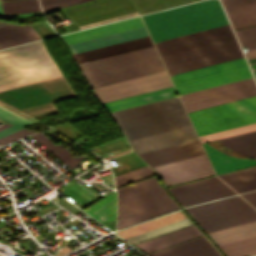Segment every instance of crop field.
Masks as SVG:
<instances>
[{
  "label": "crop field",
  "mask_w": 256,
  "mask_h": 256,
  "mask_svg": "<svg viewBox=\"0 0 256 256\" xmlns=\"http://www.w3.org/2000/svg\"><path fill=\"white\" fill-rule=\"evenodd\" d=\"M244 57L236 39H230L166 56L162 60L170 75ZM244 58L170 76L178 93L251 77Z\"/></svg>",
  "instance_id": "8a807250"
},
{
  "label": "crop field",
  "mask_w": 256,
  "mask_h": 256,
  "mask_svg": "<svg viewBox=\"0 0 256 256\" xmlns=\"http://www.w3.org/2000/svg\"><path fill=\"white\" fill-rule=\"evenodd\" d=\"M74 57L91 88L165 70L150 37Z\"/></svg>",
  "instance_id": "ac0d7876"
},
{
  "label": "crop field",
  "mask_w": 256,
  "mask_h": 256,
  "mask_svg": "<svg viewBox=\"0 0 256 256\" xmlns=\"http://www.w3.org/2000/svg\"><path fill=\"white\" fill-rule=\"evenodd\" d=\"M154 42L229 24L218 0L142 16Z\"/></svg>",
  "instance_id": "34b2d1b8"
},
{
  "label": "crop field",
  "mask_w": 256,
  "mask_h": 256,
  "mask_svg": "<svg viewBox=\"0 0 256 256\" xmlns=\"http://www.w3.org/2000/svg\"><path fill=\"white\" fill-rule=\"evenodd\" d=\"M111 114L128 140L191 125L177 97Z\"/></svg>",
  "instance_id": "412701ff"
},
{
  "label": "crop field",
  "mask_w": 256,
  "mask_h": 256,
  "mask_svg": "<svg viewBox=\"0 0 256 256\" xmlns=\"http://www.w3.org/2000/svg\"><path fill=\"white\" fill-rule=\"evenodd\" d=\"M60 75L42 41L0 51V90Z\"/></svg>",
  "instance_id": "f4fd0767"
},
{
  "label": "crop field",
  "mask_w": 256,
  "mask_h": 256,
  "mask_svg": "<svg viewBox=\"0 0 256 256\" xmlns=\"http://www.w3.org/2000/svg\"><path fill=\"white\" fill-rule=\"evenodd\" d=\"M118 191L117 229L174 211L180 207L168 196L156 177Z\"/></svg>",
  "instance_id": "dd49c442"
},
{
  "label": "crop field",
  "mask_w": 256,
  "mask_h": 256,
  "mask_svg": "<svg viewBox=\"0 0 256 256\" xmlns=\"http://www.w3.org/2000/svg\"><path fill=\"white\" fill-rule=\"evenodd\" d=\"M199 136L256 122V96L188 113Z\"/></svg>",
  "instance_id": "e52e79f7"
},
{
  "label": "crop field",
  "mask_w": 256,
  "mask_h": 256,
  "mask_svg": "<svg viewBox=\"0 0 256 256\" xmlns=\"http://www.w3.org/2000/svg\"><path fill=\"white\" fill-rule=\"evenodd\" d=\"M186 209L206 232L256 220V210L240 196Z\"/></svg>",
  "instance_id": "d8731c3e"
},
{
  "label": "crop field",
  "mask_w": 256,
  "mask_h": 256,
  "mask_svg": "<svg viewBox=\"0 0 256 256\" xmlns=\"http://www.w3.org/2000/svg\"><path fill=\"white\" fill-rule=\"evenodd\" d=\"M256 95L253 79L180 96L187 112Z\"/></svg>",
  "instance_id": "5a996713"
},
{
  "label": "crop field",
  "mask_w": 256,
  "mask_h": 256,
  "mask_svg": "<svg viewBox=\"0 0 256 256\" xmlns=\"http://www.w3.org/2000/svg\"><path fill=\"white\" fill-rule=\"evenodd\" d=\"M166 71L94 88L102 103L173 86Z\"/></svg>",
  "instance_id": "3316defc"
},
{
  "label": "crop field",
  "mask_w": 256,
  "mask_h": 256,
  "mask_svg": "<svg viewBox=\"0 0 256 256\" xmlns=\"http://www.w3.org/2000/svg\"><path fill=\"white\" fill-rule=\"evenodd\" d=\"M208 234L227 256L256 254V221Z\"/></svg>",
  "instance_id": "28ad6ade"
},
{
  "label": "crop field",
  "mask_w": 256,
  "mask_h": 256,
  "mask_svg": "<svg viewBox=\"0 0 256 256\" xmlns=\"http://www.w3.org/2000/svg\"><path fill=\"white\" fill-rule=\"evenodd\" d=\"M166 186L215 174L206 155H199L153 167Z\"/></svg>",
  "instance_id": "d1516ede"
},
{
  "label": "crop field",
  "mask_w": 256,
  "mask_h": 256,
  "mask_svg": "<svg viewBox=\"0 0 256 256\" xmlns=\"http://www.w3.org/2000/svg\"><path fill=\"white\" fill-rule=\"evenodd\" d=\"M183 206L236 194L217 177L170 188Z\"/></svg>",
  "instance_id": "22f410ed"
},
{
  "label": "crop field",
  "mask_w": 256,
  "mask_h": 256,
  "mask_svg": "<svg viewBox=\"0 0 256 256\" xmlns=\"http://www.w3.org/2000/svg\"><path fill=\"white\" fill-rule=\"evenodd\" d=\"M234 37L235 36L230 26L227 25L211 30L160 41L155 45L160 55L162 56Z\"/></svg>",
  "instance_id": "cbeb9de0"
},
{
  "label": "crop field",
  "mask_w": 256,
  "mask_h": 256,
  "mask_svg": "<svg viewBox=\"0 0 256 256\" xmlns=\"http://www.w3.org/2000/svg\"><path fill=\"white\" fill-rule=\"evenodd\" d=\"M198 139L192 126L129 141L137 154Z\"/></svg>",
  "instance_id": "5142ce71"
},
{
  "label": "crop field",
  "mask_w": 256,
  "mask_h": 256,
  "mask_svg": "<svg viewBox=\"0 0 256 256\" xmlns=\"http://www.w3.org/2000/svg\"><path fill=\"white\" fill-rule=\"evenodd\" d=\"M205 153L199 140L140 154L151 166ZM148 164V165H149Z\"/></svg>",
  "instance_id": "d9b57169"
},
{
  "label": "crop field",
  "mask_w": 256,
  "mask_h": 256,
  "mask_svg": "<svg viewBox=\"0 0 256 256\" xmlns=\"http://www.w3.org/2000/svg\"><path fill=\"white\" fill-rule=\"evenodd\" d=\"M149 36L145 27H139L111 35H107L104 37L68 45L69 50L72 54L84 52L88 50H93L97 48H102L106 46H111L143 37Z\"/></svg>",
  "instance_id": "733c2abd"
},
{
  "label": "crop field",
  "mask_w": 256,
  "mask_h": 256,
  "mask_svg": "<svg viewBox=\"0 0 256 256\" xmlns=\"http://www.w3.org/2000/svg\"><path fill=\"white\" fill-rule=\"evenodd\" d=\"M143 25L144 24H143L141 18L136 17V18H132V19H128V20H124V21H120V22H116V23H112V24H108V25H104V26L76 32V33H72V34H68V35H64L61 37L64 40V42L66 43V45H68V44L104 36L107 34L131 29V28H135V27H139V26H143Z\"/></svg>",
  "instance_id": "4a817a6b"
},
{
  "label": "crop field",
  "mask_w": 256,
  "mask_h": 256,
  "mask_svg": "<svg viewBox=\"0 0 256 256\" xmlns=\"http://www.w3.org/2000/svg\"><path fill=\"white\" fill-rule=\"evenodd\" d=\"M151 256H221L205 236L150 254Z\"/></svg>",
  "instance_id": "bc2a9ffb"
},
{
  "label": "crop field",
  "mask_w": 256,
  "mask_h": 256,
  "mask_svg": "<svg viewBox=\"0 0 256 256\" xmlns=\"http://www.w3.org/2000/svg\"><path fill=\"white\" fill-rule=\"evenodd\" d=\"M235 0H221L222 3ZM234 29L256 25V0H240L223 4Z\"/></svg>",
  "instance_id": "214f88e0"
},
{
  "label": "crop field",
  "mask_w": 256,
  "mask_h": 256,
  "mask_svg": "<svg viewBox=\"0 0 256 256\" xmlns=\"http://www.w3.org/2000/svg\"><path fill=\"white\" fill-rule=\"evenodd\" d=\"M198 236H201L200 232L195 228L194 225H192V226L177 230L175 232L160 236V238L164 241V243L168 247H170L178 243L193 239ZM160 238L157 237V238L144 241L135 245L147 253L160 250L163 248H167V246L163 243V241Z\"/></svg>",
  "instance_id": "92a150f3"
},
{
  "label": "crop field",
  "mask_w": 256,
  "mask_h": 256,
  "mask_svg": "<svg viewBox=\"0 0 256 256\" xmlns=\"http://www.w3.org/2000/svg\"><path fill=\"white\" fill-rule=\"evenodd\" d=\"M9 23L0 22V26ZM41 39L30 26L11 24L0 27V48Z\"/></svg>",
  "instance_id": "dafd665d"
},
{
  "label": "crop field",
  "mask_w": 256,
  "mask_h": 256,
  "mask_svg": "<svg viewBox=\"0 0 256 256\" xmlns=\"http://www.w3.org/2000/svg\"><path fill=\"white\" fill-rule=\"evenodd\" d=\"M177 95L174 88H167L159 91H154L138 96H133L121 100H116L108 103H104L103 106L107 109L108 112L119 110L123 108H128L136 105H140L143 103L151 102L154 100L170 97Z\"/></svg>",
  "instance_id": "00972430"
},
{
  "label": "crop field",
  "mask_w": 256,
  "mask_h": 256,
  "mask_svg": "<svg viewBox=\"0 0 256 256\" xmlns=\"http://www.w3.org/2000/svg\"><path fill=\"white\" fill-rule=\"evenodd\" d=\"M203 145L217 174L256 164V161L250 159H240L227 156L206 143Z\"/></svg>",
  "instance_id": "a9b5d70f"
},
{
  "label": "crop field",
  "mask_w": 256,
  "mask_h": 256,
  "mask_svg": "<svg viewBox=\"0 0 256 256\" xmlns=\"http://www.w3.org/2000/svg\"><path fill=\"white\" fill-rule=\"evenodd\" d=\"M219 177L239 193L256 189V167L230 172Z\"/></svg>",
  "instance_id": "4177f3b9"
},
{
  "label": "crop field",
  "mask_w": 256,
  "mask_h": 256,
  "mask_svg": "<svg viewBox=\"0 0 256 256\" xmlns=\"http://www.w3.org/2000/svg\"><path fill=\"white\" fill-rule=\"evenodd\" d=\"M186 218L182 211H178L151 221H147L120 231L116 233L121 236L123 239L137 235L139 233L169 224L171 222Z\"/></svg>",
  "instance_id": "730fd06b"
},
{
  "label": "crop field",
  "mask_w": 256,
  "mask_h": 256,
  "mask_svg": "<svg viewBox=\"0 0 256 256\" xmlns=\"http://www.w3.org/2000/svg\"><path fill=\"white\" fill-rule=\"evenodd\" d=\"M115 207H116V194L115 192L104 197L95 205L84 210L88 214L94 216L100 222L102 221H112L115 219Z\"/></svg>",
  "instance_id": "eef30255"
},
{
  "label": "crop field",
  "mask_w": 256,
  "mask_h": 256,
  "mask_svg": "<svg viewBox=\"0 0 256 256\" xmlns=\"http://www.w3.org/2000/svg\"><path fill=\"white\" fill-rule=\"evenodd\" d=\"M224 144L256 157V131L220 139Z\"/></svg>",
  "instance_id": "ae1a2a85"
},
{
  "label": "crop field",
  "mask_w": 256,
  "mask_h": 256,
  "mask_svg": "<svg viewBox=\"0 0 256 256\" xmlns=\"http://www.w3.org/2000/svg\"><path fill=\"white\" fill-rule=\"evenodd\" d=\"M235 33L242 47L246 46L247 48L245 49L256 47V27L236 30ZM244 54L252 68L254 75H256V48L245 50Z\"/></svg>",
  "instance_id": "d3111659"
},
{
  "label": "crop field",
  "mask_w": 256,
  "mask_h": 256,
  "mask_svg": "<svg viewBox=\"0 0 256 256\" xmlns=\"http://www.w3.org/2000/svg\"><path fill=\"white\" fill-rule=\"evenodd\" d=\"M189 225H192V223L189 221L188 218H186V219H183V220L174 222L172 224L142 233L140 235H137V236L125 239V240L131 244H134V243H137V242H140V241H143V240H146V239H149V238L161 235V234H165V233H168V232H171V231H174V230H177V229L189 226Z\"/></svg>",
  "instance_id": "750c4746"
},
{
  "label": "crop field",
  "mask_w": 256,
  "mask_h": 256,
  "mask_svg": "<svg viewBox=\"0 0 256 256\" xmlns=\"http://www.w3.org/2000/svg\"><path fill=\"white\" fill-rule=\"evenodd\" d=\"M0 117L5 120L8 123H11L15 126L5 129L3 131H0V138L6 135H9L11 133H14L16 131L21 130L22 128L35 124L3 107L0 106Z\"/></svg>",
  "instance_id": "bd1437ed"
},
{
  "label": "crop field",
  "mask_w": 256,
  "mask_h": 256,
  "mask_svg": "<svg viewBox=\"0 0 256 256\" xmlns=\"http://www.w3.org/2000/svg\"><path fill=\"white\" fill-rule=\"evenodd\" d=\"M5 15L41 11L37 0L2 3Z\"/></svg>",
  "instance_id": "1d83c4d3"
},
{
  "label": "crop field",
  "mask_w": 256,
  "mask_h": 256,
  "mask_svg": "<svg viewBox=\"0 0 256 256\" xmlns=\"http://www.w3.org/2000/svg\"><path fill=\"white\" fill-rule=\"evenodd\" d=\"M252 130H256V123L238 127V128H234V129H230V130H226V131H222V132H218V133H214V134H210V135L201 136L200 139H201L202 143H204V142L213 141V140H216L219 138H223V137H227V136H231V135H235V134H239V133H243V132H248V131H252Z\"/></svg>",
  "instance_id": "120bbe31"
},
{
  "label": "crop field",
  "mask_w": 256,
  "mask_h": 256,
  "mask_svg": "<svg viewBox=\"0 0 256 256\" xmlns=\"http://www.w3.org/2000/svg\"><path fill=\"white\" fill-rule=\"evenodd\" d=\"M83 1L86 0H40L44 12Z\"/></svg>",
  "instance_id": "d32e631a"
},
{
  "label": "crop field",
  "mask_w": 256,
  "mask_h": 256,
  "mask_svg": "<svg viewBox=\"0 0 256 256\" xmlns=\"http://www.w3.org/2000/svg\"><path fill=\"white\" fill-rule=\"evenodd\" d=\"M242 196L245 199H247L252 205L256 204V191L251 192V193H247V194H243Z\"/></svg>",
  "instance_id": "5866460e"
},
{
  "label": "crop field",
  "mask_w": 256,
  "mask_h": 256,
  "mask_svg": "<svg viewBox=\"0 0 256 256\" xmlns=\"http://www.w3.org/2000/svg\"><path fill=\"white\" fill-rule=\"evenodd\" d=\"M46 18L48 19V21H49L50 23H53V22H54V20L51 19L50 15H47Z\"/></svg>",
  "instance_id": "028f5c9d"
},
{
  "label": "crop field",
  "mask_w": 256,
  "mask_h": 256,
  "mask_svg": "<svg viewBox=\"0 0 256 256\" xmlns=\"http://www.w3.org/2000/svg\"><path fill=\"white\" fill-rule=\"evenodd\" d=\"M1 1H8V0H1Z\"/></svg>",
  "instance_id": "e1f06a70"
},
{
  "label": "crop field",
  "mask_w": 256,
  "mask_h": 256,
  "mask_svg": "<svg viewBox=\"0 0 256 256\" xmlns=\"http://www.w3.org/2000/svg\"><path fill=\"white\" fill-rule=\"evenodd\" d=\"M254 207H256V205Z\"/></svg>",
  "instance_id": "0bd39190"
},
{
  "label": "crop field",
  "mask_w": 256,
  "mask_h": 256,
  "mask_svg": "<svg viewBox=\"0 0 256 256\" xmlns=\"http://www.w3.org/2000/svg\"><path fill=\"white\" fill-rule=\"evenodd\" d=\"M256 159V158H255Z\"/></svg>",
  "instance_id": "b80d0937"
},
{
  "label": "crop field",
  "mask_w": 256,
  "mask_h": 256,
  "mask_svg": "<svg viewBox=\"0 0 256 256\" xmlns=\"http://www.w3.org/2000/svg\"><path fill=\"white\" fill-rule=\"evenodd\" d=\"M256 78V77H255Z\"/></svg>",
  "instance_id": "c035e120"
}]
</instances>
